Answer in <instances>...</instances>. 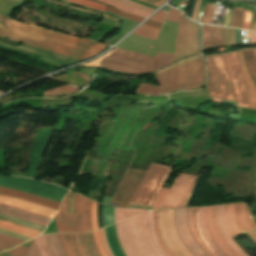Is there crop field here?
I'll list each match as a JSON object with an SVG mask.
<instances>
[{
  "label": "crop field",
  "instance_id": "28ad6ade",
  "mask_svg": "<svg viewBox=\"0 0 256 256\" xmlns=\"http://www.w3.org/2000/svg\"><path fill=\"white\" fill-rule=\"evenodd\" d=\"M158 227L165 246L173 256H192L176 234L174 209L158 211Z\"/></svg>",
  "mask_w": 256,
  "mask_h": 256
},
{
  "label": "crop field",
  "instance_id": "89e229c0",
  "mask_svg": "<svg viewBox=\"0 0 256 256\" xmlns=\"http://www.w3.org/2000/svg\"><path fill=\"white\" fill-rule=\"evenodd\" d=\"M142 1L147 2L149 4H152V5L156 6V7H158L165 0H142Z\"/></svg>",
  "mask_w": 256,
  "mask_h": 256
},
{
  "label": "crop field",
  "instance_id": "9d1cf04e",
  "mask_svg": "<svg viewBox=\"0 0 256 256\" xmlns=\"http://www.w3.org/2000/svg\"><path fill=\"white\" fill-rule=\"evenodd\" d=\"M230 15H231V14H228V16H227L226 24H228V25H229V21H230Z\"/></svg>",
  "mask_w": 256,
  "mask_h": 256
},
{
  "label": "crop field",
  "instance_id": "cbeb9de0",
  "mask_svg": "<svg viewBox=\"0 0 256 256\" xmlns=\"http://www.w3.org/2000/svg\"><path fill=\"white\" fill-rule=\"evenodd\" d=\"M224 56L236 96L237 106L248 108V92L242 77L237 51L226 53Z\"/></svg>",
  "mask_w": 256,
  "mask_h": 256
},
{
  "label": "crop field",
  "instance_id": "730fd06b",
  "mask_svg": "<svg viewBox=\"0 0 256 256\" xmlns=\"http://www.w3.org/2000/svg\"><path fill=\"white\" fill-rule=\"evenodd\" d=\"M188 226H189V230L195 240V242L201 247V249L204 251V253L207 256H212L209 251L205 248V246L202 244V242L200 241V239L198 238L195 228H194V215H193V208H188Z\"/></svg>",
  "mask_w": 256,
  "mask_h": 256
},
{
  "label": "crop field",
  "instance_id": "5a996713",
  "mask_svg": "<svg viewBox=\"0 0 256 256\" xmlns=\"http://www.w3.org/2000/svg\"><path fill=\"white\" fill-rule=\"evenodd\" d=\"M171 169L151 163L131 203L151 206Z\"/></svg>",
  "mask_w": 256,
  "mask_h": 256
},
{
  "label": "crop field",
  "instance_id": "dbb93151",
  "mask_svg": "<svg viewBox=\"0 0 256 256\" xmlns=\"http://www.w3.org/2000/svg\"><path fill=\"white\" fill-rule=\"evenodd\" d=\"M145 24L150 25V26H154V27H158V28H160L161 25H162L161 23H157V22L150 21V20L146 21Z\"/></svg>",
  "mask_w": 256,
  "mask_h": 256
},
{
  "label": "crop field",
  "instance_id": "73cf0c24",
  "mask_svg": "<svg viewBox=\"0 0 256 256\" xmlns=\"http://www.w3.org/2000/svg\"><path fill=\"white\" fill-rule=\"evenodd\" d=\"M99 232H100V236H101L102 243H103V245H104V247H105V249H106L108 255H109V256H113V255L111 254V252H110L108 246H107L106 239H105V234H104V230L101 229V230H99Z\"/></svg>",
  "mask_w": 256,
  "mask_h": 256
},
{
  "label": "crop field",
  "instance_id": "0bd39190",
  "mask_svg": "<svg viewBox=\"0 0 256 256\" xmlns=\"http://www.w3.org/2000/svg\"><path fill=\"white\" fill-rule=\"evenodd\" d=\"M169 189H166V188H162L161 192L159 193L154 205H153V209L152 210H155V209H161L162 207V204H163V201L167 195V192H168Z\"/></svg>",
  "mask_w": 256,
  "mask_h": 256
},
{
  "label": "crop field",
  "instance_id": "120bbe31",
  "mask_svg": "<svg viewBox=\"0 0 256 256\" xmlns=\"http://www.w3.org/2000/svg\"><path fill=\"white\" fill-rule=\"evenodd\" d=\"M152 224H153V230H154V235L156 238V241L160 247V249L162 250V252L165 254V256H172L170 254V252L166 249V247L163 245L159 232H158V228H157V215H156V211H152Z\"/></svg>",
  "mask_w": 256,
  "mask_h": 256
},
{
  "label": "crop field",
  "instance_id": "ac0d7876",
  "mask_svg": "<svg viewBox=\"0 0 256 256\" xmlns=\"http://www.w3.org/2000/svg\"><path fill=\"white\" fill-rule=\"evenodd\" d=\"M0 36L79 60L103 51L106 45L28 24L0 14ZM97 55V54H96Z\"/></svg>",
  "mask_w": 256,
  "mask_h": 256
},
{
  "label": "crop field",
  "instance_id": "dafd665d",
  "mask_svg": "<svg viewBox=\"0 0 256 256\" xmlns=\"http://www.w3.org/2000/svg\"><path fill=\"white\" fill-rule=\"evenodd\" d=\"M67 1H70V2H73V3H76V4H80V5L92 8V9H96V10H99V11H102V12L106 8V5H103V4H100V3H97V2H93V1H90V0H67ZM106 11L114 13L116 15L122 16V17L130 19V20H133V21L138 22V23H140L142 20H144L143 18L128 14L126 12L114 9L112 7H109V6H107Z\"/></svg>",
  "mask_w": 256,
  "mask_h": 256
},
{
  "label": "crop field",
  "instance_id": "bd1437ed",
  "mask_svg": "<svg viewBox=\"0 0 256 256\" xmlns=\"http://www.w3.org/2000/svg\"><path fill=\"white\" fill-rule=\"evenodd\" d=\"M160 30L158 29H154V28H151L149 26H146V25H141L139 28H137L134 33L138 34V35H141L143 37H146V38H150V39H156L158 33H159ZM133 33V34H134Z\"/></svg>",
  "mask_w": 256,
  "mask_h": 256
},
{
  "label": "crop field",
  "instance_id": "f4fd0767",
  "mask_svg": "<svg viewBox=\"0 0 256 256\" xmlns=\"http://www.w3.org/2000/svg\"><path fill=\"white\" fill-rule=\"evenodd\" d=\"M120 245L127 256H163L152 235L150 212L115 224Z\"/></svg>",
  "mask_w": 256,
  "mask_h": 256
},
{
  "label": "crop field",
  "instance_id": "425ffa30",
  "mask_svg": "<svg viewBox=\"0 0 256 256\" xmlns=\"http://www.w3.org/2000/svg\"><path fill=\"white\" fill-rule=\"evenodd\" d=\"M166 13L165 12H161L159 11L158 13H156L152 18H150V20H154L157 22H163L164 17H165Z\"/></svg>",
  "mask_w": 256,
  "mask_h": 256
},
{
  "label": "crop field",
  "instance_id": "5866460e",
  "mask_svg": "<svg viewBox=\"0 0 256 256\" xmlns=\"http://www.w3.org/2000/svg\"><path fill=\"white\" fill-rule=\"evenodd\" d=\"M22 242L0 234V251L15 247Z\"/></svg>",
  "mask_w": 256,
  "mask_h": 256
},
{
  "label": "crop field",
  "instance_id": "d8731c3e",
  "mask_svg": "<svg viewBox=\"0 0 256 256\" xmlns=\"http://www.w3.org/2000/svg\"><path fill=\"white\" fill-rule=\"evenodd\" d=\"M225 223L232 238L245 233L256 244V235L252 231L256 229V220L250 214L247 204H226Z\"/></svg>",
  "mask_w": 256,
  "mask_h": 256
},
{
  "label": "crop field",
  "instance_id": "c035e120",
  "mask_svg": "<svg viewBox=\"0 0 256 256\" xmlns=\"http://www.w3.org/2000/svg\"><path fill=\"white\" fill-rule=\"evenodd\" d=\"M241 12H242L241 8H235L230 27H237V28H239L240 19H241Z\"/></svg>",
  "mask_w": 256,
  "mask_h": 256
},
{
  "label": "crop field",
  "instance_id": "eef30255",
  "mask_svg": "<svg viewBox=\"0 0 256 256\" xmlns=\"http://www.w3.org/2000/svg\"><path fill=\"white\" fill-rule=\"evenodd\" d=\"M145 211L146 210L115 207V222L138 215V214H141ZM126 215H128V217H126Z\"/></svg>",
  "mask_w": 256,
  "mask_h": 256
},
{
  "label": "crop field",
  "instance_id": "d32e631a",
  "mask_svg": "<svg viewBox=\"0 0 256 256\" xmlns=\"http://www.w3.org/2000/svg\"><path fill=\"white\" fill-rule=\"evenodd\" d=\"M221 29L223 45H236L234 29L223 28Z\"/></svg>",
  "mask_w": 256,
  "mask_h": 256
},
{
  "label": "crop field",
  "instance_id": "b80d0937",
  "mask_svg": "<svg viewBox=\"0 0 256 256\" xmlns=\"http://www.w3.org/2000/svg\"><path fill=\"white\" fill-rule=\"evenodd\" d=\"M0 208L1 209H6V210H10V211H14V212H18V213H22V214H25V215H28V216H31V217H34V218H37V219H41V220L47 221V222L50 221V218H46V217H43V216H39V215H35V214H32V213H28V212H25V211L17 210V209L10 208V207H7V206L0 205Z\"/></svg>",
  "mask_w": 256,
  "mask_h": 256
},
{
  "label": "crop field",
  "instance_id": "1d79db26",
  "mask_svg": "<svg viewBox=\"0 0 256 256\" xmlns=\"http://www.w3.org/2000/svg\"><path fill=\"white\" fill-rule=\"evenodd\" d=\"M199 3H200V0H197L196 6H195L194 12H193V17H192L193 20H195L196 13H197V10H198V7H199Z\"/></svg>",
  "mask_w": 256,
  "mask_h": 256
},
{
  "label": "crop field",
  "instance_id": "3316defc",
  "mask_svg": "<svg viewBox=\"0 0 256 256\" xmlns=\"http://www.w3.org/2000/svg\"><path fill=\"white\" fill-rule=\"evenodd\" d=\"M0 186L15 188L29 193L41 195L56 201H61L67 190L46 183L21 178L0 175Z\"/></svg>",
  "mask_w": 256,
  "mask_h": 256
},
{
  "label": "crop field",
  "instance_id": "4a817a6b",
  "mask_svg": "<svg viewBox=\"0 0 256 256\" xmlns=\"http://www.w3.org/2000/svg\"><path fill=\"white\" fill-rule=\"evenodd\" d=\"M0 204L8 205L17 209L25 210L28 212H32V213L43 215L50 218H52V216L57 213L56 210H52L36 204H32V203L14 199V198L3 197V196H0Z\"/></svg>",
  "mask_w": 256,
  "mask_h": 256
},
{
  "label": "crop field",
  "instance_id": "028f5c9d",
  "mask_svg": "<svg viewBox=\"0 0 256 256\" xmlns=\"http://www.w3.org/2000/svg\"><path fill=\"white\" fill-rule=\"evenodd\" d=\"M0 213L10 215V216H13V217H16V218H19V219H23V220H26V221H30V222L39 224V225L44 226V227H46V225H47V222L40 221V220L31 218V217H28V216H25V215H21V214L9 212V211H4V210H0Z\"/></svg>",
  "mask_w": 256,
  "mask_h": 256
},
{
  "label": "crop field",
  "instance_id": "03da06ac",
  "mask_svg": "<svg viewBox=\"0 0 256 256\" xmlns=\"http://www.w3.org/2000/svg\"><path fill=\"white\" fill-rule=\"evenodd\" d=\"M93 234H94L95 242H96V244H97V247H98V249H99L101 255H102V256H107L106 253H105L104 247H103V245H102V243H101L100 236H99V232H98V231H95V232H93Z\"/></svg>",
  "mask_w": 256,
  "mask_h": 256
},
{
  "label": "crop field",
  "instance_id": "d23c7cc5",
  "mask_svg": "<svg viewBox=\"0 0 256 256\" xmlns=\"http://www.w3.org/2000/svg\"><path fill=\"white\" fill-rule=\"evenodd\" d=\"M179 14H180L179 11L171 9V11H170L166 20L178 22Z\"/></svg>",
  "mask_w": 256,
  "mask_h": 256
},
{
  "label": "crop field",
  "instance_id": "214f88e0",
  "mask_svg": "<svg viewBox=\"0 0 256 256\" xmlns=\"http://www.w3.org/2000/svg\"><path fill=\"white\" fill-rule=\"evenodd\" d=\"M123 11L146 18L153 9L138 5L128 0H98Z\"/></svg>",
  "mask_w": 256,
  "mask_h": 256
},
{
  "label": "crop field",
  "instance_id": "5142ce71",
  "mask_svg": "<svg viewBox=\"0 0 256 256\" xmlns=\"http://www.w3.org/2000/svg\"><path fill=\"white\" fill-rule=\"evenodd\" d=\"M144 174V171L128 169L110 205L127 207Z\"/></svg>",
  "mask_w": 256,
  "mask_h": 256
},
{
  "label": "crop field",
  "instance_id": "dd49c442",
  "mask_svg": "<svg viewBox=\"0 0 256 256\" xmlns=\"http://www.w3.org/2000/svg\"><path fill=\"white\" fill-rule=\"evenodd\" d=\"M64 198L60 212L56 215L58 232H90L91 228V201L78 195L75 202V215H67V198Z\"/></svg>",
  "mask_w": 256,
  "mask_h": 256
},
{
  "label": "crop field",
  "instance_id": "d3111659",
  "mask_svg": "<svg viewBox=\"0 0 256 256\" xmlns=\"http://www.w3.org/2000/svg\"><path fill=\"white\" fill-rule=\"evenodd\" d=\"M247 68L256 83V60L251 49L243 50Z\"/></svg>",
  "mask_w": 256,
  "mask_h": 256
},
{
  "label": "crop field",
  "instance_id": "a9b5d70f",
  "mask_svg": "<svg viewBox=\"0 0 256 256\" xmlns=\"http://www.w3.org/2000/svg\"><path fill=\"white\" fill-rule=\"evenodd\" d=\"M62 82L73 84L76 86H84L90 79V77L78 72L72 71L67 74L54 77Z\"/></svg>",
  "mask_w": 256,
  "mask_h": 256
},
{
  "label": "crop field",
  "instance_id": "92a150f3",
  "mask_svg": "<svg viewBox=\"0 0 256 256\" xmlns=\"http://www.w3.org/2000/svg\"><path fill=\"white\" fill-rule=\"evenodd\" d=\"M222 45L219 27L202 25V49Z\"/></svg>",
  "mask_w": 256,
  "mask_h": 256
},
{
  "label": "crop field",
  "instance_id": "00972430",
  "mask_svg": "<svg viewBox=\"0 0 256 256\" xmlns=\"http://www.w3.org/2000/svg\"><path fill=\"white\" fill-rule=\"evenodd\" d=\"M238 53H239V57H240L243 77H244L245 83H246V85L248 87V91H249V101H250L249 108L256 110V87H255V84H254L248 70L246 69L242 50L238 51Z\"/></svg>",
  "mask_w": 256,
  "mask_h": 256
},
{
  "label": "crop field",
  "instance_id": "25e5ab78",
  "mask_svg": "<svg viewBox=\"0 0 256 256\" xmlns=\"http://www.w3.org/2000/svg\"><path fill=\"white\" fill-rule=\"evenodd\" d=\"M26 256H40L38 251H37V248L35 246L34 241L32 242V244H31V246L29 248V251H28Z\"/></svg>",
  "mask_w": 256,
  "mask_h": 256
},
{
  "label": "crop field",
  "instance_id": "e52e79f7",
  "mask_svg": "<svg viewBox=\"0 0 256 256\" xmlns=\"http://www.w3.org/2000/svg\"><path fill=\"white\" fill-rule=\"evenodd\" d=\"M206 66L209 95L235 101L223 54L207 56Z\"/></svg>",
  "mask_w": 256,
  "mask_h": 256
},
{
  "label": "crop field",
  "instance_id": "5d738f31",
  "mask_svg": "<svg viewBox=\"0 0 256 256\" xmlns=\"http://www.w3.org/2000/svg\"><path fill=\"white\" fill-rule=\"evenodd\" d=\"M251 12L244 11L241 28L249 30Z\"/></svg>",
  "mask_w": 256,
  "mask_h": 256
},
{
  "label": "crop field",
  "instance_id": "412701ff",
  "mask_svg": "<svg viewBox=\"0 0 256 256\" xmlns=\"http://www.w3.org/2000/svg\"><path fill=\"white\" fill-rule=\"evenodd\" d=\"M160 87L140 83L136 92L171 93L176 90H193L205 81L204 62L200 57L189 58L156 72Z\"/></svg>",
  "mask_w": 256,
  "mask_h": 256
},
{
  "label": "crop field",
  "instance_id": "c21b1889",
  "mask_svg": "<svg viewBox=\"0 0 256 256\" xmlns=\"http://www.w3.org/2000/svg\"><path fill=\"white\" fill-rule=\"evenodd\" d=\"M214 5L207 4L201 23H210L211 14Z\"/></svg>",
  "mask_w": 256,
  "mask_h": 256
},
{
  "label": "crop field",
  "instance_id": "0fb4a251",
  "mask_svg": "<svg viewBox=\"0 0 256 256\" xmlns=\"http://www.w3.org/2000/svg\"><path fill=\"white\" fill-rule=\"evenodd\" d=\"M250 41L251 43H256V32L250 31Z\"/></svg>",
  "mask_w": 256,
  "mask_h": 256
},
{
  "label": "crop field",
  "instance_id": "bc2a9ffb",
  "mask_svg": "<svg viewBox=\"0 0 256 256\" xmlns=\"http://www.w3.org/2000/svg\"><path fill=\"white\" fill-rule=\"evenodd\" d=\"M0 195L22 199L25 201L36 203V204L46 206V207L56 209V210L58 209L59 204H60L59 202L52 201V200H49V199H46L43 197H39L36 195H32V194H28V193H24L21 191L8 189V188H4V187H0Z\"/></svg>",
  "mask_w": 256,
  "mask_h": 256
},
{
  "label": "crop field",
  "instance_id": "733c2abd",
  "mask_svg": "<svg viewBox=\"0 0 256 256\" xmlns=\"http://www.w3.org/2000/svg\"><path fill=\"white\" fill-rule=\"evenodd\" d=\"M175 225L177 232L193 256H206L193 241L187 227V209H175Z\"/></svg>",
  "mask_w": 256,
  "mask_h": 256
},
{
  "label": "crop field",
  "instance_id": "1f2cbd36",
  "mask_svg": "<svg viewBox=\"0 0 256 256\" xmlns=\"http://www.w3.org/2000/svg\"><path fill=\"white\" fill-rule=\"evenodd\" d=\"M250 30L256 31V13H252V23Z\"/></svg>",
  "mask_w": 256,
  "mask_h": 256
},
{
  "label": "crop field",
  "instance_id": "0765c3eb",
  "mask_svg": "<svg viewBox=\"0 0 256 256\" xmlns=\"http://www.w3.org/2000/svg\"><path fill=\"white\" fill-rule=\"evenodd\" d=\"M254 232L256 233V230H254Z\"/></svg>",
  "mask_w": 256,
  "mask_h": 256
},
{
  "label": "crop field",
  "instance_id": "d1516ede",
  "mask_svg": "<svg viewBox=\"0 0 256 256\" xmlns=\"http://www.w3.org/2000/svg\"><path fill=\"white\" fill-rule=\"evenodd\" d=\"M66 256H101L93 234H58Z\"/></svg>",
  "mask_w": 256,
  "mask_h": 256
},
{
  "label": "crop field",
  "instance_id": "447ae74e",
  "mask_svg": "<svg viewBox=\"0 0 256 256\" xmlns=\"http://www.w3.org/2000/svg\"><path fill=\"white\" fill-rule=\"evenodd\" d=\"M256 58V48L252 49Z\"/></svg>",
  "mask_w": 256,
  "mask_h": 256
},
{
  "label": "crop field",
  "instance_id": "34b2d1b8",
  "mask_svg": "<svg viewBox=\"0 0 256 256\" xmlns=\"http://www.w3.org/2000/svg\"><path fill=\"white\" fill-rule=\"evenodd\" d=\"M196 231L213 256H248L230 237L224 205L194 208Z\"/></svg>",
  "mask_w": 256,
  "mask_h": 256
},
{
  "label": "crop field",
  "instance_id": "1d83c4d3",
  "mask_svg": "<svg viewBox=\"0 0 256 256\" xmlns=\"http://www.w3.org/2000/svg\"><path fill=\"white\" fill-rule=\"evenodd\" d=\"M34 241L41 256H52L45 235L34 238Z\"/></svg>",
  "mask_w": 256,
  "mask_h": 256
},
{
  "label": "crop field",
  "instance_id": "e1f06a70",
  "mask_svg": "<svg viewBox=\"0 0 256 256\" xmlns=\"http://www.w3.org/2000/svg\"><path fill=\"white\" fill-rule=\"evenodd\" d=\"M28 248L29 247H27V246L20 245V246H18L17 248H15L13 250L3 252V253H5L9 256H25Z\"/></svg>",
  "mask_w": 256,
  "mask_h": 256
},
{
  "label": "crop field",
  "instance_id": "8a807250",
  "mask_svg": "<svg viewBox=\"0 0 256 256\" xmlns=\"http://www.w3.org/2000/svg\"><path fill=\"white\" fill-rule=\"evenodd\" d=\"M194 54H200L199 26L188 21L181 13L175 54L157 53V58H153L117 48L115 51L89 64L85 63L78 66H96L125 73H146L156 71L179 58Z\"/></svg>",
  "mask_w": 256,
  "mask_h": 256
},
{
  "label": "crop field",
  "instance_id": "ae1a2a85",
  "mask_svg": "<svg viewBox=\"0 0 256 256\" xmlns=\"http://www.w3.org/2000/svg\"><path fill=\"white\" fill-rule=\"evenodd\" d=\"M47 240L49 244V248L53 254V256H65L63 250L60 246L58 235L57 234H48Z\"/></svg>",
  "mask_w": 256,
  "mask_h": 256
},
{
  "label": "crop field",
  "instance_id": "d9b57169",
  "mask_svg": "<svg viewBox=\"0 0 256 256\" xmlns=\"http://www.w3.org/2000/svg\"><path fill=\"white\" fill-rule=\"evenodd\" d=\"M52 129L53 128H42L37 131L33 141L30 162L27 167L25 176L33 178L35 177L42 154L49 141Z\"/></svg>",
  "mask_w": 256,
  "mask_h": 256
},
{
  "label": "crop field",
  "instance_id": "750c4746",
  "mask_svg": "<svg viewBox=\"0 0 256 256\" xmlns=\"http://www.w3.org/2000/svg\"><path fill=\"white\" fill-rule=\"evenodd\" d=\"M79 89L65 85L62 87H58L52 90H48L44 92V96H64L71 94Z\"/></svg>",
  "mask_w": 256,
  "mask_h": 256
},
{
  "label": "crop field",
  "instance_id": "b54c1fbb",
  "mask_svg": "<svg viewBox=\"0 0 256 256\" xmlns=\"http://www.w3.org/2000/svg\"><path fill=\"white\" fill-rule=\"evenodd\" d=\"M96 208H97V203L92 201L91 210H92V227H93V231L98 229L97 218H96Z\"/></svg>",
  "mask_w": 256,
  "mask_h": 256
},
{
  "label": "crop field",
  "instance_id": "4177f3b9",
  "mask_svg": "<svg viewBox=\"0 0 256 256\" xmlns=\"http://www.w3.org/2000/svg\"><path fill=\"white\" fill-rule=\"evenodd\" d=\"M0 228H3L5 230L11 231V232H15L24 236H28V237H35L37 235L40 234V232L29 229V228H25V227H21L9 222H6L4 220L0 219Z\"/></svg>",
  "mask_w": 256,
  "mask_h": 256
},
{
  "label": "crop field",
  "instance_id": "22f410ed",
  "mask_svg": "<svg viewBox=\"0 0 256 256\" xmlns=\"http://www.w3.org/2000/svg\"><path fill=\"white\" fill-rule=\"evenodd\" d=\"M197 177L179 173L164 201L163 208L185 207Z\"/></svg>",
  "mask_w": 256,
  "mask_h": 256
}]
</instances>
